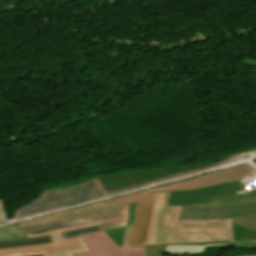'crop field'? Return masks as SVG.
I'll return each instance as SVG.
<instances>
[{
  "mask_svg": "<svg viewBox=\"0 0 256 256\" xmlns=\"http://www.w3.org/2000/svg\"><path fill=\"white\" fill-rule=\"evenodd\" d=\"M235 249L256 248V242L234 243Z\"/></svg>",
  "mask_w": 256,
  "mask_h": 256,
  "instance_id": "obj_24",
  "label": "crop field"
},
{
  "mask_svg": "<svg viewBox=\"0 0 256 256\" xmlns=\"http://www.w3.org/2000/svg\"><path fill=\"white\" fill-rule=\"evenodd\" d=\"M233 226V237L234 241H251L256 240V232L251 231L245 227H242L234 222H232Z\"/></svg>",
  "mask_w": 256,
  "mask_h": 256,
  "instance_id": "obj_17",
  "label": "crop field"
},
{
  "mask_svg": "<svg viewBox=\"0 0 256 256\" xmlns=\"http://www.w3.org/2000/svg\"><path fill=\"white\" fill-rule=\"evenodd\" d=\"M126 219H127V215L117 216V217H112V218H107L102 220L91 221V222H87V223H83V224H79V225H75V226H71L63 229L52 230V231L38 233V234H30V235H27L28 238L50 235V238L53 243L3 249V250H0V255L29 253V252H37V251H41L42 253H45V252H53V251H60V250L83 248L86 246L81 236L63 240L60 232L88 228V227L107 224L111 222L123 221Z\"/></svg>",
  "mask_w": 256,
  "mask_h": 256,
  "instance_id": "obj_4",
  "label": "crop field"
},
{
  "mask_svg": "<svg viewBox=\"0 0 256 256\" xmlns=\"http://www.w3.org/2000/svg\"><path fill=\"white\" fill-rule=\"evenodd\" d=\"M144 256H162L163 246L143 247Z\"/></svg>",
  "mask_w": 256,
  "mask_h": 256,
  "instance_id": "obj_22",
  "label": "crop field"
},
{
  "mask_svg": "<svg viewBox=\"0 0 256 256\" xmlns=\"http://www.w3.org/2000/svg\"><path fill=\"white\" fill-rule=\"evenodd\" d=\"M125 223H126V221L117 222V223H111V224L102 225V226H97V227L88 228V229H82V230L64 232V233H61V234H62L63 238L66 239V238L78 236V235L83 234V233H89V232H94V231H100V230L110 229V228L123 227V226H125Z\"/></svg>",
  "mask_w": 256,
  "mask_h": 256,
  "instance_id": "obj_16",
  "label": "crop field"
},
{
  "mask_svg": "<svg viewBox=\"0 0 256 256\" xmlns=\"http://www.w3.org/2000/svg\"><path fill=\"white\" fill-rule=\"evenodd\" d=\"M146 197H147V190L141 191V192H138L135 194L127 195L124 197L112 199L109 201H110L111 206H115V205H120V204H124V203H131L134 201H143V200H146Z\"/></svg>",
  "mask_w": 256,
  "mask_h": 256,
  "instance_id": "obj_19",
  "label": "crop field"
},
{
  "mask_svg": "<svg viewBox=\"0 0 256 256\" xmlns=\"http://www.w3.org/2000/svg\"><path fill=\"white\" fill-rule=\"evenodd\" d=\"M231 227L230 219L216 221H180L178 228H221Z\"/></svg>",
  "mask_w": 256,
  "mask_h": 256,
  "instance_id": "obj_13",
  "label": "crop field"
},
{
  "mask_svg": "<svg viewBox=\"0 0 256 256\" xmlns=\"http://www.w3.org/2000/svg\"><path fill=\"white\" fill-rule=\"evenodd\" d=\"M84 251H88L87 248L61 251V252H53V253H45V254H43V256H71L70 253L84 252Z\"/></svg>",
  "mask_w": 256,
  "mask_h": 256,
  "instance_id": "obj_23",
  "label": "crop field"
},
{
  "mask_svg": "<svg viewBox=\"0 0 256 256\" xmlns=\"http://www.w3.org/2000/svg\"><path fill=\"white\" fill-rule=\"evenodd\" d=\"M157 193L148 194L147 201L137 202L130 245H146L155 209Z\"/></svg>",
  "mask_w": 256,
  "mask_h": 256,
  "instance_id": "obj_9",
  "label": "crop field"
},
{
  "mask_svg": "<svg viewBox=\"0 0 256 256\" xmlns=\"http://www.w3.org/2000/svg\"><path fill=\"white\" fill-rule=\"evenodd\" d=\"M49 242H51L49 236L37 237V238H32V239L4 241V242H0V249L16 247V246H23V245H30V244H43V243H49Z\"/></svg>",
  "mask_w": 256,
  "mask_h": 256,
  "instance_id": "obj_14",
  "label": "crop field"
},
{
  "mask_svg": "<svg viewBox=\"0 0 256 256\" xmlns=\"http://www.w3.org/2000/svg\"><path fill=\"white\" fill-rule=\"evenodd\" d=\"M241 189L245 190L236 180L230 183L197 190L172 191L170 192L168 205H189L208 201L215 199L217 196L232 194ZM246 195L256 198V190L249 191Z\"/></svg>",
  "mask_w": 256,
  "mask_h": 256,
  "instance_id": "obj_8",
  "label": "crop field"
},
{
  "mask_svg": "<svg viewBox=\"0 0 256 256\" xmlns=\"http://www.w3.org/2000/svg\"><path fill=\"white\" fill-rule=\"evenodd\" d=\"M125 227L105 230L104 232L114 241L117 247H122Z\"/></svg>",
  "mask_w": 256,
  "mask_h": 256,
  "instance_id": "obj_20",
  "label": "crop field"
},
{
  "mask_svg": "<svg viewBox=\"0 0 256 256\" xmlns=\"http://www.w3.org/2000/svg\"><path fill=\"white\" fill-rule=\"evenodd\" d=\"M254 214L256 200L216 206H183L180 220H215Z\"/></svg>",
  "mask_w": 256,
  "mask_h": 256,
  "instance_id": "obj_6",
  "label": "crop field"
},
{
  "mask_svg": "<svg viewBox=\"0 0 256 256\" xmlns=\"http://www.w3.org/2000/svg\"><path fill=\"white\" fill-rule=\"evenodd\" d=\"M253 152H256V150H253V151H247V152H243V153H253ZM242 153V154H243Z\"/></svg>",
  "mask_w": 256,
  "mask_h": 256,
  "instance_id": "obj_30",
  "label": "crop field"
},
{
  "mask_svg": "<svg viewBox=\"0 0 256 256\" xmlns=\"http://www.w3.org/2000/svg\"><path fill=\"white\" fill-rule=\"evenodd\" d=\"M7 220L2 201H0V222Z\"/></svg>",
  "mask_w": 256,
  "mask_h": 256,
  "instance_id": "obj_26",
  "label": "crop field"
},
{
  "mask_svg": "<svg viewBox=\"0 0 256 256\" xmlns=\"http://www.w3.org/2000/svg\"><path fill=\"white\" fill-rule=\"evenodd\" d=\"M244 156H246V155L239 156V157H237L236 159H234V160H232V161H230V162H228V163L235 162V161H237V160H239V159L243 158Z\"/></svg>",
  "mask_w": 256,
  "mask_h": 256,
  "instance_id": "obj_29",
  "label": "crop field"
},
{
  "mask_svg": "<svg viewBox=\"0 0 256 256\" xmlns=\"http://www.w3.org/2000/svg\"><path fill=\"white\" fill-rule=\"evenodd\" d=\"M233 243L204 244V245H172L165 246L164 254L201 253L207 246L232 245Z\"/></svg>",
  "mask_w": 256,
  "mask_h": 256,
  "instance_id": "obj_12",
  "label": "crop field"
},
{
  "mask_svg": "<svg viewBox=\"0 0 256 256\" xmlns=\"http://www.w3.org/2000/svg\"><path fill=\"white\" fill-rule=\"evenodd\" d=\"M243 64L256 66V61L243 59Z\"/></svg>",
  "mask_w": 256,
  "mask_h": 256,
  "instance_id": "obj_27",
  "label": "crop field"
},
{
  "mask_svg": "<svg viewBox=\"0 0 256 256\" xmlns=\"http://www.w3.org/2000/svg\"><path fill=\"white\" fill-rule=\"evenodd\" d=\"M132 226L126 227L123 248H117L103 232L81 235L89 252L75 253L72 256H143L142 247H129Z\"/></svg>",
  "mask_w": 256,
  "mask_h": 256,
  "instance_id": "obj_5",
  "label": "crop field"
},
{
  "mask_svg": "<svg viewBox=\"0 0 256 256\" xmlns=\"http://www.w3.org/2000/svg\"><path fill=\"white\" fill-rule=\"evenodd\" d=\"M106 195L98 178L80 185L43 192L33 202L17 209L13 219Z\"/></svg>",
  "mask_w": 256,
  "mask_h": 256,
  "instance_id": "obj_3",
  "label": "crop field"
},
{
  "mask_svg": "<svg viewBox=\"0 0 256 256\" xmlns=\"http://www.w3.org/2000/svg\"><path fill=\"white\" fill-rule=\"evenodd\" d=\"M241 153H234L222 156L220 161L193 164L177 167H169L163 169L141 170L128 173H119L111 175L98 176L107 194L118 192L121 190L171 179L180 175L197 172L203 169L211 168L232 160Z\"/></svg>",
  "mask_w": 256,
  "mask_h": 256,
  "instance_id": "obj_2",
  "label": "crop field"
},
{
  "mask_svg": "<svg viewBox=\"0 0 256 256\" xmlns=\"http://www.w3.org/2000/svg\"><path fill=\"white\" fill-rule=\"evenodd\" d=\"M249 200H255V199L248 197L244 194H242V195L233 194V195L218 197L213 201L198 203V204H194V205H215V204L243 202V201H249Z\"/></svg>",
  "mask_w": 256,
  "mask_h": 256,
  "instance_id": "obj_15",
  "label": "crop field"
},
{
  "mask_svg": "<svg viewBox=\"0 0 256 256\" xmlns=\"http://www.w3.org/2000/svg\"><path fill=\"white\" fill-rule=\"evenodd\" d=\"M239 256H256V254H254V255H239Z\"/></svg>",
  "mask_w": 256,
  "mask_h": 256,
  "instance_id": "obj_31",
  "label": "crop field"
},
{
  "mask_svg": "<svg viewBox=\"0 0 256 256\" xmlns=\"http://www.w3.org/2000/svg\"><path fill=\"white\" fill-rule=\"evenodd\" d=\"M135 206H136V202L130 204V211H129L128 224H127V226L132 225V223H133L134 212H135Z\"/></svg>",
  "mask_w": 256,
  "mask_h": 256,
  "instance_id": "obj_25",
  "label": "crop field"
},
{
  "mask_svg": "<svg viewBox=\"0 0 256 256\" xmlns=\"http://www.w3.org/2000/svg\"><path fill=\"white\" fill-rule=\"evenodd\" d=\"M39 254L41 253L37 252V253L19 254V255H6V256H30V255H39Z\"/></svg>",
  "mask_w": 256,
  "mask_h": 256,
  "instance_id": "obj_28",
  "label": "crop field"
},
{
  "mask_svg": "<svg viewBox=\"0 0 256 256\" xmlns=\"http://www.w3.org/2000/svg\"><path fill=\"white\" fill-rule=\"evenodd\" d=\"M127 211H128V206L106 209V210H99V211L90 212V213L72 217V218H67V219H63V220H59V221H55V222H51V223H47V224L24 227V228H20V229L25 234L38 233V232L62 228V227L90 221V220H96V219L117 216V215H123V214H127Z\"/></svg>",
  "mask_w": 256,
  "mask_h": 256,
  "instance_id": "obj_10",
  "label": "crop field"
},
{
  "mask_svg": "<svg viewBox=\"0 0 256 256\" xmlns=\"http://www.w3.org/2000/svg\"><path fill=\"white\" fill-rule=\"evenodd\" d=\"M169 192L158 193L157 209L147 245L232 241L231 228L177 229L182 206H167Z\"/></svg>",
  "mask_w": 256,
  "mask_h": 256,
  "instance_id": "obj_1",
  "label": "crop field"
},
{
  "mask_svg": "<svg viewBox=\"0 0 256 256\" xmlns=\"http://www.w3.org/2000/svg\"><path fill=\"white\" fill-rule=\"evenodd\" d=\"M256 164V162H254Z\"/></svg>",
  "mask_w": 256,
  "mask_h": 256,
  "instance_id": "obj_32",
  "label": "crop field"
},
{
  "mask_svg": "<svg viewBox=\"0 0 256 256\" xmlns=\"http://www.w3.org/2000/svg\"><path fill=\"white\" fill-rule=\"evenodd\" d=\"M255 171L256 170L249 164H241L240 166L228 168L226 170L219 172L210 173L205 176L196 177L193 179L153 188L149 190V193L172 190L197 189L202 187L213 186L239 179L241 177L252 174Z\"/></svg>",
  "mask_w": 256,
  "mask_h": 256,
  "instance_id": "obj_7",
  "label": "crop field"
},
{
  "mask_svg": "<svg viewBox=\"0 0 256 256\" xmlns=\"http://www.w3.org/2000/svg\"><path fill=\"white\" fill-rule=\"evenodd\" d=\"M232 221L256 231V215L248 217L233 218Z\"/></svg>",
  "mask_w": 256,
  "mask_h": 256,
  "instance_id": "obj_21",
  "label": "crop field"
},
{
  "mask_svg": "<svg viewBox=\"0 0 256 256\" xmlns=\"http://www.w3.org/2000/svg\"><path fill=\"white\" fill-rule=\"evenodd\" d=\"M23 238L25 234L16 225L0 229V241Z\"/></svg>",
  "mask_w": 256,
  "mask_h": 256,
  "instance_id": "obj_18",
  "label": "crop field"
},
{
  "mask_svg": "<svg viewBox=\"0 0 256 256\" xmlns=\"http://www.w3.org/2000/svg\"><path fill=\"white\" fill-rule=\"evenodd\" d=\"M126 205H128V204H126ZM121 206H125V205H121ZM116 207H119V206H116ZM106 208H109L108 201L98 202V203H94L91 205L79 207V208H76V209H73L70 211L56 213V214L48 215V216L38 218L35 220L26 221V222L16 224V225L18 227H24V226H29V225L41 224V223H46V222L63 219V218H67V217H72V216L84 214V213H87L90 211L106 209Z\"/></svg>",
  "mask_w": 256,
  "mask_h": 256,
  "instance_id": "obj_11",
  "label": "crop field"
}]
</instances>
